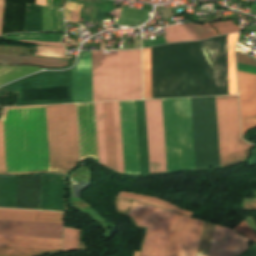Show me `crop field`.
I'll list each match as a JSON object with an SVG mask.
<instances>
[{
	"mask_svg": "<svg viewBox=\"0 0 256 256\" xmlns=\"http://www.w3.org/2000/svg\"><path fill=\"white\" fill-rule=\"evenodd\" d=\"M212 25L217 29L219 34L229 33V32H234L239 30L237 26L231 24L229 21L222 22V23H214Z\"/></svg>",
	"mask_w": 256,
	"mask_h": 256,
	"instance_id": "obj_38",
	"label": "crop field"
},
{
	"mask_svg": "<svg viewBox=\"0 0 256 256\" xmlns=\"http://www.w3.org/2000/svg\"><path fill=\"white\" fill-rule=\"evenodd\" d=\"M41 176L18 178L16 208L39 209Z\"/></svg>",
	"mask_w": 256,
	"mask_h": 256,
	"instance_id": "obj_16",
	"label": "crop field"
},
{
	"mask_svg": "<svg viewBox=\"0 0 256 256\" xmlns=\"http://www.w3.org/2000/svg\"><path fill=\"white\" fill-rule=\"evenodd\" d=\"M81 4H79V6H78V8H77V10H76V19H77V22L79 21V10H80V8H81Z\"/></svg>",
	"mask_w": 256,
	"mask_h": 256,
	"instance_id": "obj_49",
	"label": "crop field"
},
{
	"mask_svg": "<svg viewBox=\"0 0 256 256\" xmlns=\"http://www.w3.org/2000/svg\"><path fill=\"white\" fill-rule=\"evenodd\" d=\"M221 166L243 160L251 145L240 137L236 96L216 97Z\"/></svg>",
	"mask_w": 256,
	"mask_h": 256,
	"instance_id": "obj_5",
	"label": "crop field"
},
{
	"mask_svg": "<svg viewBox=\"0 0 256 256\" xmlns=\"http://www.w3.org/2000/svg\"><path fill=\"white\" fill-rule=\"evenodd\" d=\"M150 173L166 172L161 100L144 101Z\"/></svg>",
	"mask_w": 256,
	"mask_h": 256,
	"instance_id": "obj_7",
	"label": "crop field"
},
{
	"mask_svg": "<svg viewBox=\"0 0 256 256\" xmlns=\"http://www.w3.org/2000/svg\"><path fill=\"white\" fill-rule=\"evenodd\" d=\"M48 108L50 147L48 132ZM37 109V110H15ZM0 119V174L48 172L67 175L79 161L75 105L6 108Z\"/></svg>",
	"mask_w": 256,
	"mask_h": 256,
	"instance_id": "obj_1",
	"label": "crop field"
},
{
	"mask_svg": "<svg viewBox=\"0 0 256 256\" xmlns=\"http://www.w3.org/2000/svg\"><path fill=\"white\" fill-rule=\"evenodd\" d=\"M99 163L107 166L102 103L94 104Z\"/></svg>",
	"mask_w": 256,
	"mask_h": 256,
	"instance_id": "obj_24",
	"label": "crop field"
},
{
	"mask_svg": "<svg viewBox=\"0 0 256 256\" xmlns=\"http://www.w3.org/2000/svg\"><path fill=\"white\" fill-rule=\"evenodd\" d=\"M247 242H248V240H246L243 237L239 236V240H238L235 256L237 254H239L241 251H243L244 249H246Z\"/></svg>",
	"mask_w": 256,
	"mask_h": 256,
	"instance_id": "obj_42",
	"label": "crop field"
},
{
	"mask_svg": "<svg viewBox=\"0 0 256 256\" xmlns=\"http://www.w3.org/2000/svg\"><path fill=\"white\" fill-rule=\"evenodd\" d=\"M70 13H71L72 21L76 22V20H75V12L70 11Z\"/></svg>",
	"mask_w": 256,
	"mask_h": 256,
	"instance_id": "obj_51",
	"label": "crop field"
},
{
	"mask_svg": "<svg viewBox=\"0 0 256 256\" xmlns=\"http://www.w3.org/2000/svg\"><path fill=\"white\" fill-rule=\"evenodd\" d=\"M0 245L60 249L61 240L0 236Z\"/></svg>",
	"mask_w": 256,
	"mask_h": 256,
	"instance_id": "obj_21",
	"label": "crop field"
},
{
	"mask_svg": "<svg viewBox=\"0 0 256 256\" xmlns=\"http://www.w3.org/2000/svg\"><path fill=\"white\" fill-rule=\"evenodd\" d=\"M81 159L98 161L93 104H77Z\"/></svg>",
	"mask_w": 256,
	"mask_h": 256,
	"instance_id": "obj_13",
	"label": "crop field"
},
{
	"mask_svg": "<svg viewBox=\"0 0 256 256\" xmlns=\"http://www.w3.org/2000/svg\"><path fill=\"white\" fill-rule=\"evenodd\" d=\"M193 25H194L200 39L218 35L209 23L202 24V25H196L193 23Z\"/></svg>",
	"mask_w": 256,
	"mask_h": 256,
	"instance_id": "obj_37",
	"label": "crop field"
},
{
	"mask_svg": "<svg viewBox=\"0 0 256 256\" xmlns=\"http://www.w3.org/2000/svg\"><path fill=\"white\" fill-rule=\"evenodd\" d=\"M164 43H166V42L162 36V37H158V38L152 39L147 42H143L142 45H143V47H146V46H152V45H158V44H164Z\"/></svg>",
	"mask_w": 256,
	"mask_h": 256,
	"instance_id": "obj_43",
	"label": "crop field"
},
{
	"mask_svg": "<svg viewBox=\"0 0 256 256\" xmlns=\"http://www.w3.org/2000/svg\"><path fill=\"white\" fill-rule=\"evenodd\" d=\"M57 251L60 250L0 246V256H39Z\"/></svg>",
	"mask_w": 256,
	"mask_h": 256,
	"instance_id": "obj_26",
	"label": "crop field"
},
{
	"mask_svg": "<svg viewBox=\"0 0 256 256\" xmlns=\"http://www.w3.org/2000/svg\"><path fill=\"white\" fill-rule=\"evenodd\" d=\"M151 52L153 98L228 94L227 35Z\"/></svg>",
	"mask_w": 256,
	"mask_h": 256,
	"instance_id": "obj_2",
	"label": "crop field"
},
{
	"mask_svg": "<svg viewBox=\"0 0 256 256\" xmlns=\"http://www.w3.org/2000/svg\"><path fill=\"white\" fill-rule=\"evenodd\" d=\"M237 34L228 35L229 94H237L233 49Z\"/></svg>",
	"mask_w": 256,
	"mask_h": 256,
	"instance_id": "obj_28",
	"label": "crop field"
},
{
	"mask_svg": "<svg viewBox=\"0 0 256 256\" xmlns=\"http://www.w3.org/2000/svg\"><path fill=\"white\" fill-rule=\"evenodd\" d=\"M144 99L152 98L150 48L143 49Z\"/></svg>",
	"mask_w": 256,
	"mask_h": 256,
	"instance_id": "obj_30",
	"label": "crop field"
},
{
	"mask_svg": "<svg viewBox=\"0 0 256 256\" xmlns=\"http://www.w3.org/2000/svg\"><path fill=\"white\" fill-rule=\"evenodd\" d=\"M53 31H65L61 10L49 8Z\"/></svg>",
	"mask_w": 256,
	"mask_h": 256,
	"instance_id": "obj_35",
	"label": "crop field"
},
{
	"mask_svg": "<svg viewBox=\"0 0 256 256\" xmlns=\"http://www.w3.org/2000/svg\"><path fill=\"white\" fill-rule=\"evenodd\" d=\"M236 58L237 62L241 64H247V65H253L256 66V61L236 52ZM238 64V70L246 71V72H251L256 74V68L255 67H250V66H245Z\"/></svg>",
	"mask_w": 256,
	"mask_h": 256,
	"instance_id": "obj_36",
	"label": "crop field"
},
{
	"mask_svg": "<svg viewBox=\"0 0 256 256\" xmlns=\"http://www.w3.org/2000/svg\"><path fill=\"white\" fill-rule=\"evenodd\" d=\"M108 167L118 171L112 103H103Z\"/></svg>",
	"mask_w": 256,
	"mask_h": 256,
	"instance_id": "obj_19",
	"label": "crop field"
},
{
	"mask_svg": "<svg viewBox=\"0 0 256 256\" xmlns=\"http://www.w3.org/2000/svg\"><path fill=\"white\" fill-rule=\"evenodd\" d=\"M42 31L41 7L27 4L24 32Z\"/></svg>",
	"mask_w": 256,
	"mask_h": 256,
	"instance_id": "obj_25",
	"label": "crop field"
},
{
	"mask_svg": "<svg viewBox=\"0 0 256 256\" xmlns=\"http://www.w3.org/2000/svg\"><path fill=\"white\" fill-rule=\"evenodd\" d=\"M78 4L76 3H70V2H67L65 8H64V17L67 21H71V18H70V14H69V10H73L75 11L76 8H77ZM72 22V21H71Z\"/></svg>",
	"mask_w": 256,
	"mask_h": 256,
	"instance_id": "obj_41",
	"label": "crop field"
},
{
	"mask_svg": "<svg viewBox=\"0 0 256 256\" xmlns=\"http://www.w3.org/2000/svg\"><path fill=\"white\" fill-rule=\"evenodd\" d=\"M107 12H100V8L97 11V21L102 20Z\"/></svg>",
	"mask_w": 256,
	"mask_h": 256,
	"instance_id": "obj_47",
	"label": "crop field"
},
{
	"mask_svg": "<svg viewBox=\"0 0 256 256\" xmlns=\"http://www.w3.org/2000/svg\"><path fill=\"white\" fill-rule=\"evenodd\" d=\"M202 224L177 214L167 256H195Z\"/></svg>",
	"mask_w": 256,
	"mask_h": 256,
	"instance_id": "obj_8",
	"label": "crop field"
},
{
	"mask_svg": "<svg viewBox=\"0 0 256 256\" xmlns=\"http://www.w3.org/2000/svg\"><path fill=\"white\" fill-rule=\"evenodd\" d=\"M67 179L44 175L40 209L69 211L65 205Z\"/></svg>",
	"mask_w": 256,
	"mask_h": 256,
	"instance_id": "obj_15",
	"label": "crop field"
},
{
	"mask_svg": "<svg viewBox=\"0 0 256 256\" xmlns=\"http://www.w3.org/2000/svg\"><path fill=\"white\" fill-rule=\"evenodd\" d=\"M113 108L117 143L118 167L119 172L124 173L118 102L113 103Z\"/></svg>",
	"mask_w": 256,
	"mask_h": 256,
	"instance_id": "obj_31",
	"label": "crop field"
},
{
	"mask_svg": "<svg viewBox=\"0 0 256 256\" xmlns=\"http://www.w3.org/2000/svg\"><path fill=\"white\" fill-rule=\"evenodd\" d=\"M62 36L64 35L28 34V35H19L16 37H4L3 39H21V40H33V41H45V42H60Z\"/></svg>",
	"mask_w": 256,
	"mask_h": 256,
	"instance_id": "obj_33",
	"label": "crop field"
},
{
	"mask_svg": "<svg viewBox=\"0 0 256 256\" xmlns=\"http://www.w3.org/2000/svg\"><path fill=\"white\" fill-rule=\"evenodd\" d=\"M125 173L139 174L134 101L119 102Z\"/></svg>",
	"mask_w": 256,
	"mask_h": 256,
	"instance_id": "obj_10",
	"label": "crop field"
},
{
	"mask_svg": "<svg viewBox=\"0 0 256 256\" xmlns=\"http://www.w3.org/2000/svg\"><path fill=\"white\" fill-rule=\"evenodd\" d=\"M0 64L38 65L43 67H64L67 61L56 58H38L17 55H0Z\"/></svg>",
	"mask_w": 256,
	"mask_h": 256,
	"instance_id": "obj_20",
	"label": "crop field"
},
{
	"mask_svg": "<svg viewBox=\"0 0 256 256\" xmlns=\"http://www.w3.org/2000/svg\"><path fill=\"white\" fill-rule=\"evenodd\" d=\"M63 213L0 209V219L62 223Z\"/></svg>",
	"mask_w": 256,
	"mask_h": 256,
	"instance_id": "obj_17",
	"label": "crop field"
},
{
	"mask_svg": "<svg viewBox=\"0 0 256 256\" xmlns=\"http://www.w3.org/2000/svg\"><path fill=\"white\" fill-rule=\"evenodd\" d=\"M92 52L93 101L126 100L125 51ZM127 100L141 99L140 50L126 51Z\"/></svg>",
	"mask_w": 256,
	"mask_h": 256,
	"instance_id": "obj_3",
	"label": "crop field"
},
{
	"mask_svg": "<svg viewBox=\"0 0 256 256\" xmlns=\"http://www.w3.org/2000/svg\"><path fill=\"white\" fill-rule=\"evenodd\" d=\"M140 174L149 173L143 101H135Z\"/></svg>",
	"mask_w": 256,
	"mask_h": 256,
	"instance_id": "obj_18",
	"label": "crop field"
},
{
	"mask_svg": "<svg viewBox=\"0 0 256 256\" xmlns=\"http://www.w3.org/2000/svg\"><path fill=\"white\" fill-rule=\"evenodd\" d=\"M34 43L42 44V45L62 46L61 43H41V42H34Z\"/></svg>",
	"mask_w": 256,
	"mask_h": 256,
	"instance_id": "obj_48",
	"label": "crop field"
},
{
	"mask_svg": "<svg viewBox=\"0 0 256 256\" xmlns=\"http://www.w3.org/2000/svg\"><path fill=\"white\" fill-rule=\"evenodd\" d=\"M43 31H52L48 8L42 7Z\"/></svg>",
	"mask_w": 256,
	"mask_h": 256,
	"instance_id": "obj_40",
	"label": "crop field"
},
{
	"mask_svg": "<svg viewBox=\"0 0 256 256\" xmlns=\"http://www.w3.org/2000/svg\"><path fill=\"white\" fill-rule=\"evenodd\" d=\"M17 177L0 176V207L15 208Z\"/></svg>",
	"mask_w": 256,
	"mask_h": 256,
	"instance_id": "obj_22",
	"label": "crop field"
},
{
	"mask_svg": "<svg viewBox=\"0 0 256 256\" xmlns=\"http://www.w3.org/2000/svg\"><path fill=\"white\" fill-rule=\"evenodd\" d=\"M130 216L148 227L141 256H166L176 214L134 201Z\"/></svg>",
	"mask_w": 256,
	"mask_h": 256,
	"instance_id": "obj_6",
	"label": "crop field"
},
{
	"mask_svg": "<svg viewBox=\"0 0 256 256\" xmlns=\"http://www.w3.org/2000/svg\"><path fill=\"white\" fill-rule=\"evenodd\" d=\"M73 102L92 101L91 52L81 54L72 69Z\"/></svg>",
	"mask_w": 256,
	"mask_h": 256,
	"instance_id": "obj_14",
	"label": "crop field"
},
{
	"mask_svg": "<svg viewBox=\"0 0 256 256\" xmlns=\"http://www.w3.org/2000/svg\"><path fill=\"white\" fill-rule=\"evenodd\" d=\"M239 256H256V244L247 249L245 252H243Z\"/></svg>",
	"mask_w": 256,
	"mask_h": 256,
	"instance_id": "obj_44",
	"label": "crop field"
},
{
	"mask_svg": "<svg viewBox=\"0 0 256 256\" xmlns=\"http://www.w3.org/2000/svg\"><path fill=\"white\" fill-rule=\"evenodd\" d=\"M79 230L64 228L62 251L78 250Z\"/></svg>",
	"mask_w": 256,
	"mask_h": 256,
	"instance_id": "obj_32",
	"label": "crop field"
},
{
	"mask_svg": "<svg viewBox=\"0 0 256 256\" xmlns=\"http://www.w3.org/2000/svg\"><path fill=\"white\" fill-rule=\"evenodd\" d=\"M36 67H4L0 66V85L3 83L21 77L28 73L38 71Z\"/></svg>",
	"mask_w": 256,
	"mask_h": 256,
	"instance_id": "obj_29",
	"label": "crop field"
},
{
	"mask_svg": "<svg viewBox=\"0 0 256 256\" xmlns=\"http://www.w3.org/2000/svg\"><path fill=\"white\" fill-rule=\"evenodd\" d=\"M62 224L0 220V235L61 239Z\"/></svg>",
	"mask_w": 256,
	"mask_h": 256,
	"instance_id": "obj_12",
	"label": "crop field"
},
{
	"mask_svg": "<svg viewBox=\"0 0 256 256\" xmlns=\"http://www.w3.org/2000/svg\"><path fill=\"white\" fill-rule=\"evenodd\" d=\"M234 230L242 233L244 236L256 242V235L251 231L250 227L246 224L245 220L236 225Z\"/></svg>",
	"mask_w": 256,
	"mask_h": 256,
	"instance_id": "obj_39",
	"label": "crop field"
},
{
	"mask_svg": "<svg viewBox=\"0 0 256 256\" xmlns=\"http://www.w3.org/2000/svg\"><path fill=\"white\" fill-rule=\"evenodd\" d=\"M167 172L195 169L190 98L162 100Z\"/></svg>",
	"mask_w": 256,
	"mask_h": 256,
	"instance_id": "obj_4",
	"label": "crop field"
},
{
	"mask_svg": "<svg viewBox=\"0 0 256 256\" xmlns=\"http://www.w3.org/2000/svg\"><path fill=\"white\" fill-rule=\"evenodd\" d=\"M51 0L47 1V6H50ZM59 0H52L51 6L58 8Z\"/></svg>",
	"mask_w": 256,
	"mask_h": 256,
	"instance_id": "obj_46",
	"label": "crop field"
},
{
	"mask_svg": "<svg viewBox=\"0 0 256 256\" xmlns=\"http://www.w3.org/2000/svg\"><path fill=\"white\" fill-rule=\"evenodd\" d=\"M46 0H36V4L45 6Z\"/></svg>",
	"mask_w": 256,
	"mask_h": 256,
	"instance_id": "obj_50",
	"label": "crop field"
},
{
	"mask_svg": "<svg viewBox=\"0 0 256 256\" xmlns=\"http://www.w3.org/2000/svg\"><path fill=\"white\" fill-rule=\"evenodd\" d=\"M242 135L256 127V75L238 71Z\"/></svg>",
	"mask_w": 256,
	"mask_h": 256,
	"instance_id": "obj_11",
	"label": "crop field"
},
{
	"mask_svg": "<svg viewBox=\"0 0 256 256\" xmlns=\"http://www.w3.org/2000/svg\"><path fill=\"white\" fill-rule=\"evenodd\" d=\"M35 55L53 56V57L65 58V56H64V48H62V47L38 46L37 47V53Z\"/></svg>",
	"mask_w": 256,
	"mask_h": 256,
	"instance_id": "obj_34",
	"label": "crop field"
},
{
	"mask_svg": "<svg viewBox=\"0 0 256 256\" xmlns=\"http://www.w3.org/2000/svg\"><path fill=\"white\" fill-rule=\"evenodd\" d=\"M117 197L133 198V199H136V200H139V201H142V202L154 205V206H158V207H161V208H165V209H169V210H172V211L179 212V213L187 215L189 217H191V215H192V213L181 210V209H179V208H177V207H175V206H173V205H171L167 202H164V201H161V200H158V199H155V198L147 197V196L130 194V193H125V192H119Z\"/></svg>",
	"mask_w": 256,
	"mask_h": 256,
	"instance_id": "obj_27",
	"label": "crop field"
},
{
	"mask_svg": "<svg viewBox=\"0 0 256 256\" xmlns=\"http://www.w3.org/2000/svg\"><path fill=\"white\" fill-rule=\"evenodd\" d=\"M214 227L215 225L204 222L196 256H208ZM237 235L226 227L216 225L209 256H233Z\"/></svg>",
	"mask_w": 256,
	"mask_h": 256,
	"instance_id": "obj_9",
	"label": "crop field"
},
{
	"mask_svg": "<svg viewBox=\"0 0 256 256\" xmlns=\"http://www.w3.org/2000/svg\"><path fill=\"white\" fill-rule=\"evenodd\" d=\"M166 42L200 40L192 23L164 28Z\"/></svg>",
	"mask_w": 256,
	"mask_h": 256,
	"instance_id": "obj_23",
	"label": "crop field"
},
{
	"mask_svg": "<svg viewBox=\"0 0 256 256\" xmlns=\"http://www.w3.org/2000/svg\"><path fill=\"white\" fill-rule=\"evenodd\" d=\"M3 5H4V0H0V31H1V22H2V14H3Z\"/></svg>",
	"mask_w": 256,
	"mask_h": 256,
	"instance_id": "obj_45",
	"label": "crop field"
}]
</instances>
